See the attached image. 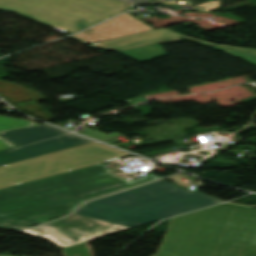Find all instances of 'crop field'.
I'll return each mask as SVG.
<instances>
[{"instance_id": "8a807250", "label": "crop field", "mask_w": 256, "mask_h": 256, "mask_svg": "<svg viewBox=\"0 0 256 256\" xmlns=\"http://www.w3.org/2000/svg\"><path fill=\"white\" fill-rule=\"evenodd\" d=\"M159 179L131 182L99 164L0 190V227L22 229L71 213L85 201ZM7 219H11L6 222Z\"/></svg>"}, {"instance_id": "ac0d7876", "label": "crop field", "mask_w": 256, "mask_h": 256, "mask_svg": "<svg viewBox=\"0 0 256 256\" xmlns=\"http://www.w3.org/2000/svg\"><path fill=\"white\" fill-rule=\"evenodd\" d=\"M155 256H256V210L222 204L174 217Z\"/></svg>"}, {"instance_id": "34b2d1b8", "label": "crop field", "mask_w": 256, "mask_h": 256, "mask_svg": "<svg viewBox=\"0 0 256 256\" xmlns=\"http://www.w3.org/2000/svg\"><path fill=\"white\" fill-rule=\"evenodd\" d=\"M219 202L162 180L94 200L74 214L135 227Z\"/></svg>"}, {"instance_id": "412701ff", "label": "crop field", "mask_w": 256, "mask_h": 256, "mask_svg": "<svg viewBox=\"0 0 256 256\" xmlns=\"http://www.w3.org/2000/svg\"><path fill=\"white\" fill-rule=\"evenodd\" d=\"M38 123L0 116V132ZM16 145L0 137V150ZM132 155L94 142L0 166V189Z\"/></svg>"}, {"instance_id": "f4fd0767", "label": "crop field", "mask_w": 256, "mask_h": 256, "mask_svg": "<svg viewBox=\"0 0 256 256\" xmlns=\"http://www.w3.org/2000/svg\"><path fill=\"white\" fill-rule=\"evenodd\" d=\"M128 9L118 0H0L1 11L49 25L63 32L81 31Z\"/></svg>"}, {"instance_id": "dd49c442", "label": "crop field", "mask_w": 256, "mask_h": 256, "mask_svg": "<svg viewBox=\"0 0 256 256\" xmlns=\"http://www.w3.org/2000/svg\"><path fill=\"white\" fill-rule=\"evenodd\" d=\"M17 147L0 151V165L94 142L48 125L0 133Z\"/></svg>"}, {"instance_id": "e52e79f7", "label": "crop field", "mask_w": 256, "mask_h": 256, "mask_svg": "<svg viewBox=\"0 0 256 256\" xmlns=\"http://www.w3.org/2000/svg\"><path fill=\"white\" fill-rule=\"evenodd\" d=\"M129 228L131 227L71 215L68 218L31 228L24 232L47 238L65 248Z\"/></svg>"}, {"instance_id": "d8731c3e", "label": "crop field", "mask_w": 256, "mask_h": 256, "mask_svg": "<svg viewBox=\"0 0 256 256\" xmlns=\"http://www.w3.org/2000/svg\"><path fill=\"white\" fill-rule=\"evenodd\" d=\"M148 30H153V28L126 13L89 30L72 35V37L91 44Z\"/></svg>"}, {"instance_id": "5a996713", "label": "crop field", "mask_w": 256, "mask_h": 256, "mask_svg": "<svg viewBox=\"0 0 256 256\" xmlns=\"http://www.w3.org/2000/svg\"><path fill=\"white\" fill-rule=\"evenodd\" d=\"M185 39L168 34L160 30L139 33L135 35L125 36L117 39H112L96 44H92L106 51H121L141 45L158 42L159 44L180 42Z\"/></svg>"}, {"instance_id": "3316defc", "label": "crop field", "mask_w": 256, "mask_h": 256, "mask_svg": "<svg viewBox=\"0 0 256 256\" xmlns=\"http://www.w3.org/2000/svg\"><path fill=\"white\" fill-rule=\"evenodd\" d=\"M120 53L127 55L139 62L150 61L168 56V54L158 43L121 51Z\"/></svg>"}, {"instance_id": "28ad6ade", "label": "crop field", "mask_w": 256, "mask_h": 256, "mask_svg": "<svg viewBox=\"0 0 256 256\" xmlns=\"http://www.w3.org/2000/svg\"><path fill=\"white\" fill-rule=\"evenodd\" d=\"M157 0H149L153 2ZM193 6V10L210 12L220 7L221 0H187Z\"/></svg>"}, {"instance_id": "d1516ede", "label": "crop field", "mask_w": 256, "mask_h": 256, "mask_svg": "<svg viewBox=\"0 0 256 256\" xmlns=\"http://www.w3.org/2000/svg\"><path fill=\"white\" fill-rule=\"evenodd\" d=\"M187 41H190V40H187ZM191 42H195V41H191ZM195 43H198L200 45H203L205 47H208V48H211L214 50L224 51L226 53H229L231 55H234L238 58H241L247 62H250V63L256 65V53H250V52H244V51L226 49V48L210 47V46H207V45H205L203 43H199V42H195Z\"/></svg>"}, {"instance_id": "22f410ed", "label": "crop field", "mask_w": 256, "mask_h": 256, "mask_svg": "<svg viewBox=\"0 0 256 256\" xmlns=\"http://www.w3.org/2000/svg\"><path fill=\"white\" fill-rule=\"evenodd\" d=\"M65 256H90L86 243L63 249Z\"/></svg>"}, {"instance_id": "cbeb9de0", "label": "crop field", "mask_w": 256, "mask_h": 256, "mask_svg": "<svg viewBox=\"0 0 256 256\" xmlns=\"http://www.w3.org/2000/svg\"><path fill=\"white\" fill-rule=\"evenodd\" d=\"M160 30H163V31L169 32V33H171V34H174V35H177V36H181V37H184V38H187V39H191V40L203 42V43H206V44H208V45L219 46V47H226V48H233V49L245 50V51H250V52H256V50H254V49H245V48H238V47L222 46V45H216V44H212V43L200 41V40H197V39L185 37V36H183V35H180V34H178V33H175V32H173V31H170V30L165 29V28H161Z\"/></svg>"}, {"instance_id": "5142ce71", "label": "crop field", "mask_w": 256, "mask_h": 256, "mask_svg": "<svg viewBox=\"0 0 256 256\" xmlns=\"http://www.w3.org/2000/svg\"><path fill=\"white\" fill-rule=\"evenodd\" d=\"M121 1L128 3L129 8L133 7V6L140 5V4L148 3V0H136L135 2H131L128 0H121Z\"/></svg>"}, {"instance_id": "d9b57169", "label": "crop field", "mask_w": 256, "mask_h": 256, "mask_svg": "<svg viewBox=\"0 0 256 256\" xmlns=\"http://www.w3.org/2000/svg\"><path fill=\"white\" fill-rule=\"evenodd\" d=\"M46 223V222H45ZM43 224V223H42Z\"/></svg>"}, {"instance_id": "733c2abd", "label": "crop field", "mask_w": 256, "mask_h": 256, "mask_svg": "<svg viewBox=\"0 0 256 256\" xmlns=\"http://www.w3.org/2000/svg\"><path fill=\"white\" fill-rule=\"evenodd\" d=\"M255 87H256V85H255Z\"/></svg>"}]
</instances>
